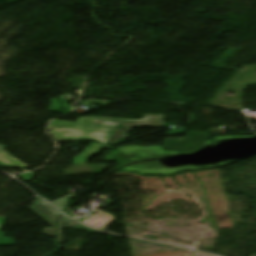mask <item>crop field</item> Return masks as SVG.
Wrapping results in <instances>:
<instances>
[{"label": "crop field", "instance_id": "8a807250", "mask_svg": "<svg viewBox=\"0 0 256 256\" xmlns=\"http://www.w3.org/2000/svg\"><path fill=\"white\" fill-rule=\"evenodd\" d=\"M117 126H120L118 129ZM132 127H164V115H144L141 120L85 117L76 122L55 120L49 129L61 142L94 140L108 144L125 141Z\"/></svg>", "mask_w": 256, "mask_h": 256}, {"label": "crop field", "instance_id": "ac0d7876", "mask_svg": "<svg viewBox=\"0 0 256 256\" xmlns=\"http://www.w3.org/2000/svg\"><path fill=\"white\" fill-rule=\"evenodd\" d=\"M37 215H39L43 220L50 224L54 228L43 229V234L52 236L55 238V224L54 221L60 215L58 212L50 208L46 203H44L40 198L34 200V205L29 207Z\"/></svg>", "mask_w": 256, "mask_h": 256}, {"label": "crop field", "instance_id": "34b2d1b8", "mask_svg": "<svg viewBox=\"0 0 256 256\" xmlns=\"http://www.w3.org/2000/svg\"><path fill=\"white\" fill-rule=\"evenodd\" d=\"M114 221H116L114 215L100 211L83 223L102 230Z\"/></svg>", "mask_w": 256, "mask_h": 256}, {"label": "crop field", "instance_id": "412701ff", "mask_svg": "<svg viewBox=\"0 0 256 256\" xmlns=\"http://www.w3.org/2000/svg\"><path fill=\"white\" fill-rule=\"evenodd\" d=\"M104 148H114L110 146H102L91 143L89 146H87L84 151L77 157L74 158L73 164L74 165H84L87 164V159L91 157L92 155L98 154L101 149Z\"/></svg>", "mask_w": 256, "mask_h": 256}, {"label": "crop field", "instance_id": "f4fd0767", "mask_svg": "<svg viewBox=\"0 0 256 256\" xmlns=\"http://www.w3.org/2000/svg\"><path fill=\"white\" fill-rule=\"evenodd\" d=\"M5 146L0 145V167L1 168H20L26 172V167H29L15 158L9 156V154L3 149Z\"/></svg>", "mask_w": 256, "mask_h": 256}, {"label": "crop field", "instance_id": "dd49c442", "mask_svg": "<svg viewBox=\"0 0 256 256\" xmlns=\"http://www.w3.org/2000/svg\"><path fill=\"white\" fill-rule=\"evenodd\" d=\"M73 221H71L70 219H67L65 218L64 216L61 215L58 223H57V226L58 228H67V229H75V230H85V231H90L92 229H89L87 227H84V226H79V224H74L72 223ZM64 224H68L67 227H64ZM71 227H74V228H71Z\"/></svg>", "mask_w": 256, "mask_h": 256}, {"label": "crop field", "instance_id": "e52e79f7", "mask_svg": "<svg viewBox=\"0 0 256 256\" xmlns=\"http://www.w3.org/2000/svg\"><path fill=\"white\" fill-rule=\"evenodd\" d=\"M35 174H36V173H34V172H30V173H26V174L19 175L18 177H19L22 181H24V182H26V181L31 182V180L33 179V177L35 176Z\"/></svg>", "mask_w": 256, "mask_h": 256}, {"label": "crop field", "instance_id": "d8731c3e", "mask_svg": "<svg viewBox=\"0 0 256 256\" xmlns=\"http://www.w3.org/2000/svg\"><path fill=\"white\" fill-rule=\"evenodd\" d=\"M117 199H119V198H115V199H113V200H111V201H109V202H107V203H105V204H103V205H101L99 207L102 209V208L106 207L107 205H109L110 203L114 202Z\"/></svg>", "mask_w": 256, "mask_h": 256}]
</instances>
